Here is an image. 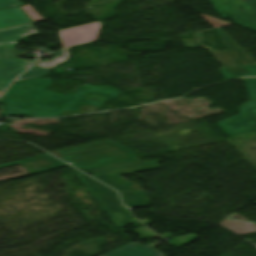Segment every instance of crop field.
<instances>
[{
    "mask_svg": "<svg viewBox=\"0 0 256 256\" xmlns=\"http://www.w3.org/2000/svg\"><path fill=\"white\" fill-rule=\"evenodd\" d=\"M53 80L31 79L11 85L4 96V116L18 117L23 111L37 117L60 116L65 110L77 111L82 104L101 107L103 104L82 98L93 93L110 100L120 93L110 86L83 84L69 95L45 90Z\"/></svg>",
    "mask_w": 256,
    "mask_h": 256,
    "instance_id": "1",
    "label": "crop field"
},
{
    "mask_svg": "<svg viewBox=\"0 0 256 256\" xmlns=\"http://www.w3.org/2000/svg\"><path fill=\"white\" fill-rule=\"evenodd\" d=\"M55 154L81 169L138 158L123 146L109 139L58 150Z\"/></svg>",
    "mask_w": 256,
    "mask_h": 256,
    "instance_id": "2",
    "label": "crop field"
},
{
    "mask_svg": "<svg viewBox=\"0 0 256 256\" xmlns=\"http://www.w3.org/2000/svg\"><path fill=\"white\" fill-rule=\"evenodd\" d=\"M158 167H160L158 164H154L117 173L97 175L94 176V178L106 183L107 185L119 191L126 206L132 208L149 207L144 191L140 189L135 183L119 175Z\"/></svg>",
    "mask_w": 256,
    "mask_h": 256,
    "instance_id": "3",
    "label": "crop field"
},
{
    "mask_svg": "<svg viewBox=\"0 0 256 256\" xmlns=\"http://www.w3.org/2000/svg\"><path fill=\"white\" fill-rule=\"evenodd\" d=\"M72 170L88 187V189L92 192L98 202L118 226L128 224L134 219L129 212L122 207L118 198L115 196V191L105 187L103 184L73 168Z\"/></svg>",
    "mask_w": 256,
    "mask_h": 256,
    "instance_id": "4",
    "label": "crop field"
},
{
    "mask_svg": "<svg viewBox=\"0 0 256 256\" xmlns=\"http://www.w3.org/2000/svg\"><path fill=\"white\" fill-rule=\"evenodd\" d=\"M215 30L229 50H214L202 45V32L196 33V40L184 41V43L186 47L189 48L203 46L209 49L212 55L223 67L256 64V62L251 59L238 45H236L237 43L232 39L236 43L235 44L220 28Z\"/></svg>",
    "mask_w": 256,
    "mask_h": 256,
    "instance_id": "5",
    "label": "crop field"
},
{
    "mask_svg": "<svg viewBox=\"0 0 256 256\" xmlns=\"http://www.w3.org/2000/svg\"><path fill=\"white\" fill-rule=\"evenodd\" d=\"M243 80L251 100L240 106L239 114L217 123L230 135L256 130V117L249 111L256 107V78Z\"/></svg>",
    "mask_w": 256,
    "mask_h": 256,
    "instance_id": "6",
    "label": "crop field"
},
{
    "mask_svg": "<svg viewBox=\"0 0 256 256\" xmlns=\"http://www.w3.org/2000/svg\"><path fill=\"white\" fill-rule=\"evenodd\" d=\"M221 19L231 18L233 23L256 31V16L249 0H209ZM242 6L245 14H242Z\"/></svg>",
    "mask_w": 256,
    "mask_h": 256,
    "instance_id": "7",
    "label": "crop field"
},
{
    "mask_svg": "<svg viewBox=\"0 0 256 256\" xmlns=\"http://www.w3.org/2000/svg\"><path fill=\"white\" fill-rule=\"evenodd\" d=\"M100 30L99 22L68 28L59 31L62 46L68 47L76 44L94 41Z\"/></svg>",
    "mask_w": 256,
    "mask_h": 256,
    "instance_id": "8",
    "label": "crop field"
},
{
    "mask_svg": "<svg viewBox=\"0 0 256 256\" xmlns=\"http://www.w3.org/2000/svg\"><path fill=\"white\" fill-rule=\"evenodd\" d=\"M13 164H23L31 173L47 170L51 168H56L60 166H64L65 164L59 162L58 160L50 157L47 154L0 165L1 167L13 165Z\"/></svg>",
    "mask_w": 256,
    "mask_h": 256,
    "instance_id": "9",
    "label": "crop field"
},
{
    "mask_svg": "<svg viewBox=\"0 0 256 256\" xmlns=\"http://www.w3.org/2000/svg\"><path fill=\"white\" fill-rule=\"evenodd\" d=\"M19 40L0 45V71L20 66L32 65V60L17 59L14 55V49Z\"/></svg>",
    "mask_w": 256,
    "mask_h": 256,
    "instance_id": "10",
    "label": "crop field"
},
{
    "mask_svg": "<svg viewBox=\"0 0 256 256\" xmlns=\"http://www.w3.org/2000/svg\"><path fill=\"white\" fill-rule=\"evenodd\" d=\"M63 51V50H62ZM68 56V49L56 55L53 59L38 62L17 80L46 76L51 68ZM17 82V81H16Z\"/></svg>",
    "mask_w": 256,
    "mask_h": 256,
    "instance_id": "11",
    "label": "crop field"
},
{
    "mask_svg": "<svg viewBox=\"0 0 256 256\" xmlns=\"http://www.w3.org/2000/svg\"><path fill=\"white\" fill-rule=\"evenodd\" d=\"M104 256H163V255L154 249H151L139 244H135V243H129Z\"/></svg>",
    "mask_w": 256,
    "mask_h": 256,
    "instance_id": "12",
    "label": "crop field"
},
{
    "mask_svg": "<svg viewBox=\"0 0 256 256\" xmlns=\"http://www.w3.org/2000/svg\"><path fill=\"white\" fill-rule=\"evenodd\" d=\"M159 162H161V161L156 160V161L142 163L139 159H136V160H131V161H127V162L107 165V166L85 169L84 171H86L92 175H97V174L117 172V171H121V170L131 169V168L145 166V165L159 163Z\"/></svg>",
    "mask_w": 256,
    "mask_h": 256,
    "instance_id": "13",
    "label": "crop field"
},
{
    "mask_svg": "<svg viewBox=\"0 0 256 256\" xmlns=\"http://www.w3.org/2000/svg\"><path fill=\"white\" fill-rule=\"evenodd\" d=\"M34 33H37V31L31 24L0 30V44L17 40Z\"/></svg>",
    "mask_w": 256,
    "mask_h": 256,
    "instance_id": "14",
    "label": "crop field"
},
{
    "mask_svg": "<svg viewBox=\"0 0 256 256\" xmlns=\"http://www.w3.org/2000/svg\"><path fill=\"white\" fill-rule=\"evenodd\" d=\"M29 21L19 8L0 11V28Z\"/></svg>",
    "mask_w": 256,
    "mask_h": 256,
    "instance_id": "15",
    "label": "crop field"
},
{
    "mask_svg": "<svg viewBox=\"0 0 256 256\" xmlns=\"http://www.w3.org/2000/svg\"><path fill=\"white\" fill-rule=\"evenodd\" d=\"M227 80L240 76H256V65L221 69Z\"/></svg>",
    "mask_w": 256,
    "mask_h": 256,
    "instance_id": "16",
    "label": "crop field"
},
{
    "mask_svg": "<svg viewBox=\"0 0 256 256\" xmlns=\"http://www.w3.org/2000/svg\"><path fill=\"white\" fill-rule=\"evenodd\" d=\"M27 67L14 68L0 72V91H4L8 84Z\"/></svg>",
    "mask_w": 256,
    "mask_h": 256,
    "instance_id": "17",
    "label": "crop field"
},
{
    "mask_svg": "<svg viewBox=\"0 0 256 256\" xmlns=\"http://www.w3.org/2000/svg\"><path fill=\"white\" fill-rule=\"evenodd\" d=\"M22 9L24 10V12L30 17V19L32 21H36V20H42L43 18L37 13L35 12L29 5H25L24 7H22Z\"/></svg>",
    "mask_w": 256,
    "mask_h": 256,
    "instance_id": "18",
    "label": "crop field"
},
{
    "mask_svg": "<svg viewBox=\"0 0 256 256\" xmlns=\"http://www.w3.org/2000/svg\"><path fill=\"white\" fill-rule=\"evenodd\" d=\"M201 16L207 21L209 22L214 28L217 27H222V26H226V25H230L231 23H227V22H223L221 20L215 19V18H211V17H207L201 14ZM208 23V24H209Z\"/></svg>",
    "mask_w": 256,
    "mask_h": 256,
    "instance_id": "19",
    "label": "crop field"
},
{
    "mask_svg": "<svg viewBox=\"0 0 256 256\" xmlns=\"http://www.w3.org/2000/svg\"><path fill=\"white\" fill-rule=\"evenodd\" d=\"M18 5H20L18 0H0V9Z\"/></svg>",
    "mask_w": 256,
    "mask_h": 256,
    "instance_id": "20",
    "label": "crop field"
},
{
    "mask_svg": "<svg viewBox=\"0 0 256 256\" xmlns=\"http://www.w3.org/2000/svg\"><path fill=\"white\" fill-rule=\"evenodd\" d=\"M97 109H99V108L93 107V106H89V105H82L80 107V109L77 112H73V114L95 112Z\"/></svg>",
    "mask_w": 256,
    "mask_h": 256,
    "instance_id": "21",
    "label": "crop field"
},
{
    "mask_svg": "<svg viewBox=\"0 0 256 256\" xmlns=\"http://www.w3.org/2000/svg\"><path fill=\"white\" fill-rule=\"evenodd\" d=\"M84 98H88V99H91V100H95V101H98V102H104L105 98H102V97H99V96H96V95H93V94H87V95H84Z\"/></svg>",
    "mask_w": 256,
    "mask_h": 256,
    "instance_id": "22",
    "label": "crop field"
},
{
    "mask_svg": "<svg viewBox=\"0 0 256 256\" xmlns=\"http://www.w3.org/2000/svg\"><path fill=\"white\" fill-rule=\"evenodd\" d=\"M252 3L254 5L255 11H256V0H252Z\"/></svg>",
    "mask_w": 256,
    "mask_h": 256,
    "instance_id": "23",
    "label": "crop field"
},
{
    "mask_svg": "<svg viewBox=\"0 0 256 256\" xmlns=\"http://www.w3.org/2000/svg\"><path fill=\"white\" fill-rule=\"evenodd\" d=\"M50 153L55 154V153H58V151L55 150V151H51Z\"/></svg>",
    "mask_w": 256,
    "mask_h": 256,
    "instance_id": "24",
    "label": "crop field"
},
{
    "mask_svg": "<svg viewBox=\"0 0 256 256\" xmlns=\"http://www.w3.org/2000/svg\"><path fill=\"white\" fill-rule=\"evenodd\" d=\"M256 114V108L252 110Z\"/></svg>",
    "mask_w": 256,
    "mask_h": 256,
    "instance_id": "25",
    "label": "crop field"
},
{
    "mask_svg": "<svg viewBox=\"0 0 256 256\" xmlns=\"http://www.w3.org/2000/svg\"><path fill=\"white\" fill-rule=\"evenodd\" d=\"M3 92H0V96L2 95Z\"/></svg>",
    "mask_w": 256,
    "mask_h": 256,
    "instance_id": "26",
    "label": "crop field"
},
{
    "mask_svg": "<svg viewBox=\"0 0 256 256\" xmlns=\"http://www.w3.org/2000/svg\"><path fill=\"white\" fill-rule=\"evenodd\" d=\"M66 59H67V58H66ZM66 59H64L63 61H65ZM63 61H62V62H63Z\"/></svg>",
    "mask_w": 256,
    "mask_h": 256,
    "instance_id": "27",
    "label": "crop field"
}]
</instances>
